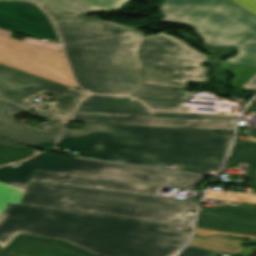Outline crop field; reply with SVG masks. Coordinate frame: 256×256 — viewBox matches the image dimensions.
Returning a JSON list of instances; mask_svg holds the SVG:
<instances>
[{
    "label": "crop field",
    "instance_id": "412701ff",
    "mask_svg": "<svg viewBox=\"0 0 256 256\" xmlns=\"http://www.w3.org/2000/svg\"><path fill=\"white\" fill-rule=\"evenodd\" d=\"M22 205L191 227L195 201L31 182Z\"/></svg>",
    "mask_w": 256,
    "mask_h": 256
},
{
    "label": "crop field",
    "instance_id": "d9b57169",
    "mask_svg": "<svg viewBox=\"0 0 256 256\" xmlns=\"http://www.w3.org/2000/svg\"><path fill=\"white\" fill-rule=\"evenodd\" d=\"M0 256H96L65 241L19 234Z\"/></svg>",
    "mask_w": 256,
    "mask_h": 256
},
{
    "label": "crop field",
    "instance_id": "dd49c442",
    "mask_svg": "<svg viewBox=\"0 0 256 256\" xmlns=\"http://www.w3.org/2000/svg\"><path fill=\"white\" fill-rule=\"evenodd\" d=\"M35 169L194 189L202 176L39 154L18 168H0V183L26 190Z\"/></svg>",
    "mask_w": 256,
    "mask_h": 256
},
{
    "label": "crop field",
    "instance_id": "00972430",
    "mask_svg": "<svg viewBox=\"0 0 256 256\" xmlns=\"http://www.w3.org/2000/svg\"><path fill=\"white\" fill-rule=\"evenodd\" d=\"M223 192L210 190L206 198L210 199H220L238 202H248L256 204V196L253 195H243L227 192L226 195H222Z\"/></svg>",
    "mask_w": 256,
    "mask_h": 256
},
{
    "label": "crop field",
    "instance_id": "730fd06b",
    "mask_svg": "<svg viewBox=\"0 0 256 256\" xmlns=\"http://www.w3.org/2000/svg\"><path fill=\"white\" fill-rule=\"evenodd\" d=\"M256 15V0H230Z\"/></svg>",
    "mask_w": 256,
    "mask_h": 256
},
{
    "label": "crop field",
    "instance_id": "d1516ede",
    "mask_svg": "<svg viewBox=\"0 0 256 256\" xmlns=\"http://www.w3.org/2000/svg\"><path fill=\"white\" fill-rule=\"evenodd\" d=\"M75 112L187 119H202L204 117L229 119L238 118V116L230 115L155 112L148 109L140 101L126 96L99 95H90L83 99L79 103Z\"/></svg>",
    "mask_w": 256,
    "mask_h": 256
},
{
    "label": "crop field",
    "instance_id": "8a807250",
    "mask_svg": "<svg viewBox=\"0 0 256 256\" xmlns=\"http://www.w3.org/2000/svg\"><path fill=\"white\" fill-rule=\"evenodd\" d=\"M54 20L77 83L95 94H126L154 110L188 112V92L142 84L138 29L42 6Z\"/></svg>",
    "mask_w": 256,
    "mask_h": 256
},
{
    "label": "crop field",
    "instance_id": "4a817a6b",
    "mask_svg": "<svg viewBox=\"0 0 256 256\" xmlns=\"http://www.w3.org/2000/svg\"><path fill=\"white\" fill-rule=\"evenodd\" d=\"M189 245L208 248L239 256H247V254L251 250L256 248L253 246L242 244L241 240L218 235L208 238L194 236L193 240H191Z\"/></svg>",
    "mask_w": 256,
    "mask_h": 256
},
{
    "label": "crop field",
    "instance_id": "5a996713",
    "mask_svg": "<svg viewBox=\"0 0 256 256\" xmlns=\"http://www.w3.org/2000/svg\"><path fill=\"white\" fill-rule=\"evenodd\" d=\"M57 96L52 103L41 102L37 110L61 119H69L77 101L86 93L55 82L0 65V97L34 108L29 101L41 94Z\"/></svg>",
    "mask_w": 256,
    "mask_h": 256
},
{
    "label": "crop field",
    "instance_id": "733c2abd",
    "mask_svg": "<svg viewBox=\"0 0 256 256\" xmlns=\"http://www.w3.org/2000/svg\"><path fill=\"white\" fill-rule=\"evenodd\" d=\"M45 6L85 14L97 10L108 11L120 8L128 0H31Z\"/></svg>",
    "mask_w": 256,
    "mask_h": 256
},
{
    "label": "crop field",
    "instance_id": "34b2d1b8",
    "mask_svg": "<svg viewBox=\"0 0 256 256\" xmlns=\"http://www.w3.org/2000/svg\"><path fill=\"white\" fill-rule=\"evenodd\" d=\"M233 136L212 130L84 123L67 128L59 145L64 149L111 161L162 168L179 164L180 171L217 174Z\"/></svg>",
    "mask_w": 256,
    "mask_h": 256
},
{
    "label": "crop field",
    "instance_id": "a9b5d70f",
    "mask_svg": "<svg viewBox=\"0 0 256 256\" xmlns=\"http://www.w3.org/2000/svg\"><path fill=\"white\" fill-rule=\"evenodd\" d=\"M195 235L207 237L215 234H221V235H226V236H232V237H238L242 238L243 242H245V238L250 239L249 242H256V236H251V235H243V234H235V233H228V232H221V231H213V230H206V229H199L195 228Z\"/></svg>",
    "mask_w": 256,
    "mask_h": 256
},
{
    "label": "crop field",
    "instance_id": "28ad6ade",
    "mask_svg": "<svg viewBox=\"0 0 256 256\" xmlns=\"http://www.w3.org/2000/svg\"><path fill=\"white\" fill-rule=\"evenodd\" d=\"M42 11L37 4L25 0H0V28L59 42L50 19Z\"/></svg>",
    "mask_w": 256,
    "mask_h": 256
},
{
    "label": "crop field",
    "instance_id": "d8731c3e",
    "mask_svg": "<svg viewBox=\"0 0 256 256\" xmlns=\"http://www.w3.org/2000/svg\"><path fill=\"white\" fill-rule=\"evenodd\" d=\"M0 64L77 88L59 46L34 38H11L0 29Z\"/></svg>",
    "mask_w": 256,
    "mask_h": 256
},
{
    "label": "crop field",
    "instance_id": "22f410ed",
    "mask_svg": "<svg viewBox=\"0 0 256 256\" xmlns=\"http://www.w3.org/2000/svg\"><path fill=\"white\" fill-rule=\"evenodd\" d=\"M70 121L196 129L234 130L237 120L213 118H205L202 120H187L74 113Z\"/></svg>",
    "mask_w": 256,
    "mask_h": 256
},
{
    "label": "crop field",
    "instance_id": "dafd665d",
    "mask_svg": "<svg viewBox=\"0 0 256 256\" xmlns=\"http://www.w3.org/2000/svg\"><path fill=\"white\" fill-rule=\"evenodd\" d=\"M226 69L234 72L236 78L232 79L233 87H242L255 73L256 68L221 63Z\"/></svg>",
    "mask_w": 256,
    "mask_h": 256
},
{
    "label": "crop field",
    "instance_id": "ac0d7876",
    "mask_svg": "<svg viewBox=\"0 0 256 256\" xmlns=\"http://www.w3.org/2000/svg\"><path fill=\"white\" fill-rule=\"evenodd\" d=\"M171 226L10 204L0 216V247L23 233L65 240L98 256H173L189 232Z\"/></svg>",
    "mask_w": 256,
    "mask_h": 256
},
{
    "label": "crop field",
    "instance_id": "bc2a9ffb",
    "mask_svg": "<svg viewBox=\"0 0 256 256\" xmlns=\"http://www.w3.org/2000/svg\"><path fill=\"white\" fill-rule=\"evenodd\" d=\"M239 162L252 163L247 179L256 185V144L235 142L225 168H235Z\"/></svg>",
    "mask_w": 256,
    "mask_h": 256
},
{
    "label": "crop field",
    "instance_id": "eef30255",
    "mask_svg": "<svg viewBox=\"0 0 256 256\" xmlns=\"http://www.w3.org/2000/svg\"><path fill=\"white\" fill-rule=\"evenodd\" d=\"M256 112V101L249 107L246 113ZM243 134H249L246 141L256 142V128H250L249 131L244 130Z\"/></svg>",
    "mask_w": 256,
    "mask_h": 256
},
{
    "label": "crop field",
    "instance_id": "cbeb9de0",
    "mask_svg": "<svg viewBox=\"0 0 256 256\" xmlns=\"http://www.w3.org/2000/svg\"><path fill=\"white\" fill-rule=\"evenodd\" d=\"M196 227L256 235V209L221 206L200 209Z\"/></svg>",
    "mask_w": 256,
    "mask_h": 256
},
{
    "label": "crop field",
    "instance_id": "3316defc",
    "mask_svg": "<svg viewBox=\"0 0 256 256\" xmlns=\"http://www.w3.org/2000/svg\"><path fill=\"white\" fill-rule=\"evenodd\" d=\"M12 109L26 110L9 102L0 100V143L13 145L17 142L39 149H54L64 125L62 121L50 118V121L36 128L14 120Z\"/></svg>",
    "mask_w": 256,
    "mask_h": 256
},
{
    "label": "crop field",
    "instance_id": "ae1a2a85",
    "mask_svg": "<svg viewBox=\"0 0 256 256\" xmlns=\"http://www.w3.org/2000/svg\"><path fill=\"white\" fill-rule=\"evenodd\" d=\"M243 88L256 89V74L243 86Z\"/></svg>",
    "mask_w": 256,
    "mask_h": 256
},
{
    "label": "crop field",
    "instance_id": "5142ce71",
    "mask_svg": "<svg viewBox=\"0 0 256 256\" xmlns=\"http://www.w3.org/2000/svg\"><path fill=\"white\" fill-rule=\"evenodd\" d=\"M31 181L154 195L159 186L36 170Z\"/></svg>",
    "mask_w": 256,
    "mask_h": 256
},
{
    "label": "crop field",
    "instance_id": "214f88e0",
    "mask_svg": "<svg viewBox=\"0 0 256 256\" xmlns=\"http://www.w3.org/2000/svg\"><path fill=\"white\" fill-rule=\"evenodd\" d=\"M24 191L0 184V215L10 203L19 204Z\"/></svg>",
    "mask_w": 256,
    "mask_h": 256
},
{
    "label": "crop field",
    "instance_id": "4177f3b9",
    "mask_svg": "<svg viewBox=\"0 0 256 256\" xmlns=\"http://www.w3.org/2000/svg\"><path fill=\"white\" fill-rule=\"evenodd\" d=\"M210 251L187 246L185 250L178 256H208Z\"/></svg>",
    "mask_w": 256,
    "mask_h": 256
},
{
    "label": "crop field",
    "instance_id": "f4fd0767",
    "mask_svg": "<svg viewBox=\"0 0 256 256\" xmlns=\"http://www.w3.org/2000/svg\"><path fill=\"white\" fill-rule=\"evenodd\" d=\"M163 21L190 24L208 45H233L235 57L225 61L256 66V17L227 0H163Z\"/></svg>",
    "mask_w": 256,
    "mask_h": 256
},
{
    "label": "crop field",
    "instance_id": "e52e79f7",
    "mask_svg": "<svg viewBox=\"0 0 256 256\" xmlns=\"http://www.w3.org/2000/svg\"><path fill=\"white\" fill-rule=\"evenodd\" d=\"M143 63V83L163 87H186V80H208L200 64L206 55L165 33L147 35L138 51Z\"/></svg>",
    "mask_w": 256,
    "mask_h": 256
},
{
    "label": "crop field",
    "instance_id": "92a150f3",
    "mask_svg": "<svg viewBox=\"0 0 256 256\" xmlns=\"http://www.w3.org/2000/svg\"><path fill=\"white\" fill-rule=\"evenodd\" d=\"M30 156H32V154L27 149L0 144V166L6 163L22 160Z\"/></svg>",
    "mask_w": 256,
    "mask_h": 256
}]
</instances>
